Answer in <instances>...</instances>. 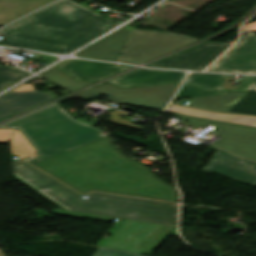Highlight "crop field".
Listing matches in <instances>:
<instances>
[{"mask_svg":"<svg viewBox=\"0 0 256 256\" xmlns=\"http://www.w3.org/2000/svg\"><path fill=\"white\" fill-rule=\"evenodd\" d=\"M1 128H19L38 152L31 165L80 193L96 190L179 202L177 189L124 155L103 131L74 120L58 104Z\"/></svg>","mask_w":256,"mask_h":256,"instance_id":"crop-field-1","label":"crop field"},{"mask_svg":"<svg viewBox=\"0 0 256 256\" xmlns=\"http://www.w3.org/2000/svg\"><path fill=\"white\" fill-rule=\"evenodd\" d=\"M114 24L70 0H62L1 30L0 35L9 37L0 45L66 54Z\"/></svg>","mask_w":256,"mask_h":256,"instance_id":"crop-field-2","label":"crop field"},{"mask_svg":"<svg viewBox=\"0 0 256 256\" xmlns=\"http://www.w3.org/2000/svg\"><path fill=\"white\" fill-rule=\"evenodd\" d=\"M15 179L64 210L177 227L178 204L91 193L88 199L29 166L13 160Z\"/></svg>","mask_w":256,"mask_h":256,"instance_id":"crop-field-3","label":"crop field"},{"mask_svg":"<svg viewBox=\"0 0 256 256\" xmlns=\"http://www.w3.org/2000/svg\"><path fill=\"white\" fill-rule=\"evenodd\" d=\"M174 229L124 220L102 246L151 255Z\"/></svg>","mask_w":256,"mask_h":256,"instance_id":"crop-field-4","label":"crop field"},{"mask_svg":"<svg viewBox=\"0 0 256 256\" xmlns=\"http://www.w3.org/2000/svg\"><path fill=\"white\" fill-rule=\"evenodd\" d=\"M179 85L180 83L122 89L113 84H106L86 90L77 95L84 98H93L105 94L114 103L145 105L164 110Z\"/></svg>","mask_w":256,"mask_h":256,"instance_id":"crop-field-5","label":"crop field"},{"mask_svg":"<svg viewBox=\"0 0 256 256\" xmlns=\"http://www.w3.org/2000/svg\"><path fill=\"white\" fill-rule=\"evenodd\" d=\"M194 41L174 34L135 30L121 62L142 64Z\"/></svg>","mask_w":256,"mask_h":256,"instance_id":"crop-field-6","label":"crop field"},{"mask_svg":"<svg viewBox=\"0 0 256 256\" xmlns=\"http://www.w3.org/2000/svg\"><path fill=\"white\" fill-rule=\"evenodd\" d=\"M177 116L194 124L214 125L221 139L213 145L245 159L256 161V129Z\"/></svg>","mask_w":256,"mask_h":256,"instance_id":"crop-field-7","label":"crop field"},{"mask_svg":"<svg viewBox=\"0 0 256 256\" xmlns=\"http://www.w3.org/2000/svg\"><path fill=\"white\" fill-rule=\"evenodd\" d=\"M206 71L256 74V34L244 36Z\"/></svg>","mask_w":256,"mask_h":256,"instance_id":"crop-field-8","label":"crop field"},{"mask_svg":"<svg viewBox=\"0 0 256 256\" xmlns=\"http://www.w3.org/2000/svg\"><path fill=\"white\" fill-rule=\"evenodd\" d=\"M230 45L206 42L149 66L202 71Z\"/></svg>","mask_w":256,"mask_h":256,"instance_id":"crop-field-9","label":"crop field"},{"mask_svg":"<svg viewBox=\"0 0 256 256\" xmlns=\"http://www.w3.org/2000/svg\"><path fill=\"white\" fill-rule=\"evenodd\" d=\"M202 171L216 172L256 187V163L229 154L217 152Z\"/></svg>","mask_w":256,"mask_h":256,"instance_id":"crop-field-10","label":"crop field"},{"mask_svg":"<svg viewBox=\"0 0 256 256\" xmlns=\"http://www.w3.org/2000/svg\"><path fill=\"white\" fill-rule=\"evenodd\" d=\"M77 79L98 81L116 73L130 69L124 65H116L92 61H66L57 66Z\"/></svg>","mask_w":256,"mask_h":256,"instance_id":"crop-field-11","label":"crop field"},{"mask_svg":"<svg viewBox=\"0 0 256 256\" xmlns=\"http://www.w3.org/2000/svg\"><path fill=\"white\" fill-rule=\"evenodd\" d=\"M130 33V31L122 29L76 55L99 60L118 61Z\"/></svg>","mask_w":256,"mask_h":256,"instance_id":"crop-field-12","label":"crop field"},{"mask_svg":"<svg viewBox=\"0 0 256 256\" xmlns=\"http://www.w3.org/2000/svg\"><path fill=\"white\" fill-rule=\"evenodd\" d=\"M187 72L151 71L139 69L113 81V84L128 88L133 86L158 85L167 82H182Z\"/></svg>","mask_w":256,"mask_h":256,"instance_id":"crop-field-13","label":"crop field"},{"mask_svg":"<svg viewBox=\"0 0 256 256\" xmlns=\"http://www.w3.org/2000/svg\"><path fill=\"white\" fill-rule=\"evenodd\" d=\"M52 99L47 93L16 92L0 97V119Z\"/></svg>","mask_w":256,"mask_h":256,"instance_id":"crop-field-14","label":"crop field"},{"mask_svg":"<svg viewBox=\"0 0 256 256\" xmlns=\"http://www.w3.org/2000/svg\"><path fill=\"white\" fill-rule=\"evenodd\" d=\"M54 0H0V25L40 8Z\"/></svg>","mask_w":256,"mask_h":256,"instance_id":"crop-field-15","label":"crop field"},{"mask_svg":"<svg viewBox=\"0 0 256 256\" xmlns=\"http://www.w3.org/2000/svg\"><path fill=\"white\" fill-rule=\"evenodd\" d=\"M246 93L226 92V95L192 98L189 107L226 113Z\"/></svg>","mask_w":256,"mask_h":256,"instance_id":"crop-field-16","label":"crop field"},{"mask_svg":"<svg viewBox=\"0 0 256 256\" xmlns=\"http://www.w3.org/2000/svg\"><path fill=\"white\" fill-rule=\"evenodd\" d=\"M170 106L171 107L169 108L168 111L175 112L182 115H188V116L206 118V119L215 120V121L256 127V117L223 115V114L203 112V111H198V110H193V109H188V108H183V107H178L173 105H170Z\"/></svg>","mask_w":256,"mask_h":256,"instance_id":"crop-field-17","label":"crop field"},{"mask_svg":"<svg viewBox=\"0 0 256 256\" xmlns=\"http://www.w3.org/2000/svg\"><path fill=\"white\" fill-rule=\"evenodd\" d=\"M225 75L190 73L186 83L195 84L205 90H222Z\"/></svg>","mask_w":256,"mask_h":256,"instance_id":"crop-field-18","label":"crop field"},{"mask_svg":"<svg viewBox=\"0 0 256 256\" xmlns=\"http://www.w3.org/2000/svg\"><path fill=\"white\" fill-rule=\"evenodd\" d=\"M40 76L45 77L52 82L64 87L65 89L69 91H75L83 86H86L92 82H87V81H76L66 73L62 72L58 68H53Z\"/></svg>","mask_w":256,"mask_h":256,"instance_id":"crop-field-19","label":"crop field"},{"mask_svg":"<svg viewBox=\"0 0 256 256\" xmlns=\"http://www.w3.org/2000/svg\"><path fill=\"white\" fill-rule=\"evenodd\" d=\"M10 147L13 154L18 155L28 163L36 159L35 150L18 130H15L10 140Z\"/></svg>","mask_w":256,"mask_h":256,"instance_id":"crop-field-20","label":"crop field"},{"mask_svg":"<svg viewBox=\"0 0 256 256\" xmlns=\"http://www.w3.org/2000/svg\"><path fill=\"white\" fill-rule=\"evenodd\" d=\"M227 113L256 116V93H248Z\"/></svg>","mask_w":256,"mask_h":256,"instance_id":"crop-field-21","label":"crop field"},{"mask_svg":"<svg viewBox=\"0 0 256 256\" xmlns=\"http://www.w3.org/2000/svg\"><path fill=\"white\" fill-rule=\"evenodd\" d=\"M28 75L30 73L18 68L0 66V90Z\"/></svg>","mask_w":256,"mask_h":256,"instance_id":"crop-field-22","label":"crop field"},{"mask_svg":"<svg viewBox=\"0 0 256 256\" xmlns=\"http://www.w3.org/2000/svg\"><path fill=\"white\" fill-rule=\"evenodd\" d=\"M219 94H225V92L204 91L194 85L183 84V86L181 87L180 91L178 92L175 98L197 97V96L219 95Z\"/></svg>","mask_w":256,"mask_h":256,"instance_id":"crop-field-23","label":"crop field"},{"mask_svg":"<svg viewBox=\"0 0 256 256\" xmlns=\"http://www.w3.org/2000/svg\"><path fill=\"white\" fill-rule=\"evenodd\" d=\"M93 256H140V255L99 248Z\"/></svg>","mask_w":256,"mask_h":256,"instance_id":"crop-field-24","label":"crop field"},{"mask_svg":"<svg viewBox=\"0 0 256 256\" xmlns=\"http://www.w3.org/2000/svg\"><path fill=\"white\" fill-rule=\"evenodd\" d=\"M52 212H55V213H63V214H69V215H75V216L86 217V218H92V219L103 220V221H108V222H112V221H114V219H115V218H110V217H102V216L88 215V214L75 213V212H68V211H62V210H56V209H53Z\"/></svg>","mask_w":256,"mask_h":256,"instance_id":"crop-field-25","label":"crop field"},{"mask_svg":"<svg viewBox=\"0 0 256 256\" xmlns=\"http://www.w3.org/2000/svg\"><path fill=\"white\" fill-rule=\"evenodd\" d=\"M14 130L0 129V142L9 141Z\"/></svg>","mask_w":256,"mask_h":256,"instance_id":"crop-field-26","label":"crop field"},{"mask_svg":"<svg viewBox=\"0 0 256 256\" xmlns=\"http://www.w3.org/2000/svg\"><path fill=\"white\" fill-rule=\"evenodd\" d=\"M15 91H35L33 88L32 84H28V85H22L14 90H12L11 92H15Z\"/></svg>","mask_w":256,"mask_h":256,"instance_id":"crop-field-27","label":"crop field"},{"mask_svg":"<svg viewBox=\"0 0 256 256\" xmlns=\"http://www.w3.org/2000/svg\"><path fill=\"white\" fill-rule=\"evenodd\" d=\"M242 30L256 31V22L243 26Z\"/></svg>","mask_w":256,"mask_h":256,"instance_id":"crop-field-28","label":"crop field"},{"mask_svg":"<svg viewBox=\"0 0 256 256\" xmlns=\"http://www.w3.org/2000/svg\"><path fill=\"white\" fill-rule=\"evenodd\" d=\"M141 256H144V255H141Z\"/></svg>","mask_w":256,"mask_h":256,"instance_id":"crop-field-29","label":"crop field"}]
</instances>
